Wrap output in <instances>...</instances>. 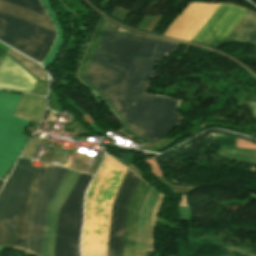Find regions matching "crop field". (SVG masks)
<instances>
[{
	"instance_id": "8a807250",
	"label": "crop field",
	"mask_w": 256,
	"mask_h": 256,
	"mask_svg": "<svg viewBox=\"0 0 256 256\" xmlns=\"http://www.w3.org/2000/svg\"><path fill=\"white\" fill-rule=\"evenodd\" d=\"M142 38L109 28L103 34L84 79L110 103ZM176 45L144 37L112 103L128 127L149 140L173 130L181 119L174 110L178 100L143 94L157 60Z\"/></svg>"
},
{
	"instance_id": "ac0d7876",
	"label": "crop field",
	"mask_w": 256,
	"mask_h": 256,
	"mask_svg": "<svg viewBox=\"0 0 256 256\" xmlns=\"http://www.w3.org/2000/svg\"><path fill=\"white\" fill-rule=\"evenodd\" d=\"M127 168L106 154L88 188L82 232V256H107L112 204Z\"/></svg>"
},
{
	"instance_id": "34b2d1b8",
	"label": "crop field",
	"mask_w": 256,
	"mask_h": 256,
	"mask_svg": "<svg viewBox=\"0 0 256 256\" xmlns=\"http://www.w3.org/2000/svg\"><path fill=\"white\" fill-rule=\"evenodd\" d=\"M91 177L80 173L60 209L53 256H79L81 199Z\"/></svg>"
},
{
	"instance_id": "412701ff",
	"label": "crop field",
	"mask_w": 256,
	"mask_h": 256,
	"mask_svg": "<svg viewBox=\"0 0 256 256\" xmlns=\"http://www.w3.org/2000/svg\"><path fill=\"white\" fill-rule=\"evenodd\" d=\"M38 168L20 158L0 192V245L12 247L19 202Z\"/></svg>"
},
{
	"instance_id": "f4fd0767",
	"label": "crop field",
	"mask_w": 256,
	"mask_h": 256,
	"mask_svg": "<svg viewBox=\"0 0 256 256\" xmlns=\"http://www.w3.org/2000/svg\"><path fill=\"white\" fill-rule=\"evenodd\" d=\"M21 96L0 92V178L16 161L27 136V120L13 114Z\"/></svg>"
},
{
	"instance_id": "dd49c442",
	"label": "crop field",
	"mask_w": 256,
	"mask_h": 256,
	"mask_svg": "<svg viewBox=\"0 0 256 256\" xmlns=\"http://www.w3.org/2000/svg\"><path fill=\"white\" fill-rule=\"evenodd\" d=\"M55 32L0 13V39L41 61Z\"/></svg>"
},
{
	"instance_id": "e52e79f7",
	"label": "crop field",
	"mask_w": 256,
	"mask_h": 256,
	"mask_svg": "<svg viewBox=\"0 0 256 256\" xmlns=\"http://www.w3.org/2000/svg\"><path fill=\"white\" fill-rule=\"evenodd\" d=\"M68 169L52 166L29 208L25 251L41 252L47 207L66 176Z\"/></svg>"
},
{
	"instance_id": "d8731c3e",
	"label": "crop field",
	"mask_w": 256,
	"mask_h": 256,
	"mask_svg": "<svg viewBox=\"0 0 256 256\" xmlns=\"http://www.w3.org/2000/svg\"><path fill=\"white\" fill-rule=\"evenodd\" d=\"M139 178L127 170L113 204L108 256H122L126 212Z\"/></svg>"
},
{
	"instance_id": "5a996713",
	"label": "crop field",
	"mask_w": 256,
	"mask_h": 256,
	"mask_svg": "<svg viewBox=\"0 0 256 256\" xmlns=\"http://www.w3.org/2000/svg\"><path fill=\"white\" fill-rule=\"evenodd\" d=\"M246 11L241 7L221 4L192 42L208 45L220 44Z\"/></svg>"
},
{
	"instance_id": "3316defc",
	"label": "crop field",
	"mask_w": 256,
	"mask_h": 256,
	"mask_svg": "<svg viewBox=\"0 0 256 256\" xmlns=\"http://www.w3.org/2000/svg\"><path fill=\"white\" fill-rule=\"evenodd\" d=\"M220 4H190L164 34L191 41Z\"/></svg>"
},
{
	"instance_id": "28ad6ade",
	"label": "crop field",
	"mask_w": 256,
	"mask_h": 256,
	"mask_svg": "<svg viewBox=\"0 0 256 256\" xmlns=\"http://www.w3.org/2000/svg\"><path fill=\"white\" fill-rule=\"evenodd\" d=\"M78 175L79 172L69 170L48 207L41 256H52L59 209Z\"/></svg>"
},
{
	"instance_id": "d1516ede",
	"label": "crop field",
	"mask_w": 256,
	"mask_h": 256,
	"mask_svg": "<svg viewBox=\"0 0 256 256\" xmlns=\"http://www.w3.org/2000/svg\"><path fill=\"white\" fill-rule=\"evenodd\" d=\"M36 79L8 56L0 65V88L31 93Z\"/></svg>"
},
{
	"instance_id": "22f410ed",
	"label": "crop field",
	"mask_w": 256,
	"mask_h": 256,
	"mask_svg": "<svg viewBox=\"0 0 256 256\" xmlns=\"http://www.w3.org/2000/svg\"><path fill=\"white\" fill-rule=\"evenodd\" d=\"M50 168L51 165L42 163L40 169L38 170L36 176L34 177L32 183L30 184L29 188L27 189L25 195L20 202L13 244V247L15 248L23 250L29 204L33 199L35 193L37 192L38 188L40 187L41 183L43 182L44 178L46 177Z\"/></svg>"
},
{
	"instance_id": "cbeb9de0",
	"label": "crop field",
	"mask_w": 256,
	"mask_h": 256,
	"mask_svg": "<svg viewBox=\"0 0 256 256\" xmlns=\"http://www.w3.org/2000/svg\"><path fill=\"white\" fill-rule=\"evenodd\" d=\"M148 187L149 185H147L142 180H139L133 197L128 206L123 256H134L139 207L142 203Z\"/></svg>"
},
{
	"instance_id": "5142ce71",
	"label": "crop field",
	"mask_w": 256,
	"mask_h": 256,
	"mask_svg": "<svg viewBox=\"0 0 256 256\" xmlns=\"http://www.w3.org/2000/svg\"><path fill=\"white\" fill-rule=\"evenodd\" d=\"M156 194L157 192L149 187L146 198L140 208L135 256H146L149 215Z\"/></svg>"
},
{
	"instance_id": "d9b57169",
	"label": "crop field",
	"mask_w": 256,
	"mask_h": 256,
	"mask_svg": "<svg viewBox=\"0 0 256 256\" xmlns=\"http://www.w3.org/2000/svg\"><path fill=\"white\" fill-rule=\"evenodd\" d=\"M227 37L256 44V14L248 10Z\"/></svg>"
},
{
	"instance_id": "733c2abd",
	"label": "crop field",
	"mask_w": 256,
	"mask_h": 256,
	"mask_svg": "<svg viewBox=\"0 0 256 256\" xmlns=\"http://www.w3.org/2000/svg\"><path fill=\"white\" fill-rule=\"evenodd\" d=\"M0 12L31 22L33 24L45 27L47 29L53 30V27L48 17L20 8L18 6L6 3L1 0H0Z\"/></svg>"
},
{
	"instance_id": "4a817a6b",
	"label": "crop field",
	"mask_w": 256,
	"mask_h": 256,
	"mask_svg": "<svg viewBox=\"0 0 256 256\" xmlns=\"http://www.w3.org/2000/svg\"><path fill=\"white\" fill-rule=\"evenodd\" d=\"M44 112V102L42 97L31 96L24 94L15 114H24L23 117L33 120L35 122L39 121Z\"/></svg>"
},
{
	"instance_id": "bc2a9ffb",
	"label": "crop field",
	"mask_w": 256,
	"mask_h": 256,
	"mask_svg": "<svg viewBox=\"0 0 256 256\" xmlns=\"http://www.w3.org/2000/svg\"><path fill=\"white\" fill-rule=\"evenodd\" d=\"M107 23L108 22L102 18L98 27H97V29H96V31H95V33H94V36H93V39H92L91 44L89 46V49H88V51H87V53H86V55H85V57L82 61L80 69L77 73V77L80 80H82V78H83V76L86 72V69H87V67H88V65L91 61V58H92V56L95 52V49H96V47H97V45L100 41V38H101V36H102V34L105 30V27H106Z\"/></svg>"
},
{
	"instance_id": "214f88e0",
	"label": "crop field",
	"mask_w": 256,
	"mask_h": 256,
	"mask_svg": "<svg viewBox=\"0 0 256 256\" xmlns=\"http://www.w3.org/2000/svg\"><path fill=\"white\" fill-rule=\"evenodd\" d=\"M44 7L46 8L47 12L49 13V15L51 16L57 32H58V36L57 39L54 43L55 46H60L62 41H63V36H64V32L62 30V27L59 23V20L54 12V10L52 9V7L50 6L49 2L47 0H41ZM53 46L51 51L49 52V54L47 55L46 59L44 60L43 64L48 68V66L50 65V63L53 61V59L55 58V56L58 54L60 48L59 47H55Z\"/></svg>"
},
{
	"instance_id": "92a150f3",
	"label": "crop field",
	"mask_w": 256,
	"mask_h": 256,
	"mask_svg": "<svg viewBox=\"0 0 256 256\" xmlns=\"http://www.w3.org/2000/svg\"><path fill=\"white\" fill-rule=\"evenodd\" d=\"M6 53L13 56L19 63H21L26 69H28L36 77H38L41 80L46 81L44 71L36 63L23 57L22 55L16 53L15 51H13L11 49L9 51H7Z\"/></svg>"
},
{
	"instance_id": "dafd665d",
	"label": "crop field",
	"mask_w": 256,
	"mask_h": 256,
	"mask_svg": "<svg viewBox=\"0 0 256 256\" xmlns=\"http://www.w3.org/2000/svg\"><path fill=\"white\" fill-rule=\"evenodd\" d=\"M162 199L163 197L159 194L158 195V199L152 209V213H151V219H150V227H149V237H148V247H147V251L152 249L153 247V232H154V226H155V221H156V217H157V213L161 207V203H162Z\"/></svg>"
},
{
	"instance_id": "00972430",
	"label": "crop field",
	"mask_w": 256,
	"mask_h": 256,
	"mask_svg": "<svg viewBox=\"0 0 256 256\" xmlns=\"http://www.w3.org/2000/svg\"><path fill=\"white\" fill-rule=\"evenodd\" d=\"M29 10L46 15L38 0H4Z\"/></svg>"
},
{
	"instance_id": "a9b5d70f",
	"label": "crop field",
	"mask_w": 256,
	"mask_h": 256,
	"mask_svg": "<svg viewBox=\"0 0 256 256\" xmlns=\"http://www.w3.org/2000/svg\"><path fill=\"white\" fill-rule=\"evenodd\" d=\"M40 143H41V140L35 138L30 144L27 145L22 156L33 158Z\"/></svg>"
},
{
	"instance_id": "4177f3b9",
	"label": "crop field",
	"mask_w": 256,
	"mask_h": 256,
	"mask_svg": "<svg viewBox=\"0 0 256 256\" xmlns=\"http://www.w3.org/2000/svg\"><path fill=\"white\" fill-rule=\"evenodd\" d=\"M236 147L256 149V143L237 138Z\"/></svg>"
},
{
	"instance_id": "730fd06b",
	"label": "crop field",
	"mask_w": 256,
	"mask_h": 256,
	"mask_svg": "<svg viewBox=\"0 0 256 256\" xmlns=\"http://www.w3.org/2000/svg\"><path fill=\"white\" fill-rule=\"evenodd\" d=\"M146 162L150 163L152 168H151V171H152V174L158 178L160 176L163 175V173L161 172V170L159 169L158 165L156 164L155 160L152 159V160H146Z\"/></svg>"
},
{
	"instance_id": "eef30255",
	"label": "crop field",
	"mask_w": 256,
	"mask_h": 256,
	"mask_svg": "<svg viewBox=\"0 0 256 256\" xmlns=\"http://www.w3.org/2000/svg\"><path fill=\"white\" fill-rule=\"evenodd\" d=\"M242 100L256 102V96L245 94Z\"/></svg>"
},
{
	"instance_id": "ae1a2a85",
	"label": "crop field",
	"mask_w": 256,
	"mask_h": 256,
	"mask_svg": "<svg viewBox=\"0 0 256 256\" xmlns=\"http://www.w3.org/2000/svg\"><path fill=\"white\" fill-rule=\"evenodd\" d=\"M251 103V106H252V110H253V113L256 114V103Z\"/></svg>"
},
{
	"instance_id": "d3111659",
	"label": "crop field",
	"mask_w": 256,
	"mask_h": 256,
	"mask_svg": "<svg viewBox=\"0 0 256 256\" xmlns=\"http://www.w3.org/2000/svg\"><path fill=\"white\" fill-rule=\"evenodd\" d=\"M3 57H4V54L0 53V63H1L2 59H3Z\"/></svg>"
},
{
	"instance_id": "750c4746",
	"label": "crop field",
	"mask_w": 256,
	"mask_h": 256,
	"mask_svg": "<svg viewBox=\"0 0 256 256\" xmlns=\"http://www.w3.org/2000/svg\"><path fill=\"white\" fill-rule=\"evenodd\" d=\"M2 183H3V182H2V181H0V187H1Z\"/></svg>"
}]
</instances>
